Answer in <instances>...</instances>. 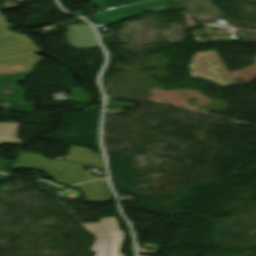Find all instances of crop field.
I'll return each instance as SVG.
<instances>
[{
    "mask_svg": "<svg viewBox=\"0 0 256 256\" xmlns=\"http://www.w3.org/2000/svg\"><path fill=\"white\" fill-rule=\"evenodd\" d=\"M63 159L74 161H51L43 156L21 152L12 167H36L50 173L58 182L72 184L102 177L91 175L94 172L83 170L87 165L103 168L101 155L86 148L71 146L70 153Z\"/></svg>",
    "mask_w": 256,
    "mask_h": 256,
    "instance_id": "8a807250",
    "label": "crop field"
},
{
    "mask_svg": "<svg viewBox=\"0 0 256 256\" xmlns=\"http://www.w3.org/2000/svg\"><path fill=\"white\" fill-rule=\"evenodd\" d=\"M82 227L96 237L91 249L95 256H123L118 250L124 234L118 230L114 217L103 218L99 223H83Z\"/></svg>",
    "mask_w": 256,
    "mask_h": 256,
    "instance_id": "ac0d7876",
    "label": "crop field"
},
{
    "mask_svg": "<svg viewBox=\"0 0 256 256\" xmlns=\"http://www.w3.org/2000/svg\"><path fill=\"white\" fill-rule=\"evenodd\" d=\"M191 74L194 77H203L217 82L220 87L234 84L216 50L196 52L191 59Z\"/></svg>",
    "mask_w": 256,
    "mask_h": 256,
    "instance_id": "34b2d1b8",
    "label": "crop field"
},
{
    "mask_svg": "<svg viewBox=\"0 0 256 256\" xmlns=\"http://www.w3.org/2000/svg\"><path fill=\"white\" fill-rule=\"evenodd\" d=\"M36 51L38 46L33 41L0 49V75L30 73L38 62L26 57Z\"/></svg>",
    "mask_w": 256,
    "mask_h": 256,
    "instance_id": "412701ff",
    "label": "crop field"
},
{
    "mask_svg": "<svg viewBox=\"0 0 256 256\" xmlns=\"http://www.w3.org/2000/svg\"><path fill=\"white\" fill-rule=\"evenodd\" d=\"M29 74L0 76V109L33 112L35 103L24 102L25 91L18 88Z\"/></svg>",
    "mask_w": 256,
    "mask_h": 256,
    "instance_id": "f4fd0767",
    "label": "crop field"
},
{
    "mask_svg": "<svg viewBox=\"0 0 256 256\" xmlns=\"http://www.w3.org/2000/svg\"><path fill=\"white\" fill-rule=\"evenodd\" d=\"M176 7L179 6H177L171 0H153L141 4L125 6L114 10L98 13L95 15L87 16L85 18L90 19L93 23H114L124 17L140 14L144 11L159 12Z\"/></svg>",
    "mask_w": 256,
    "mask_h": 256,
    "instance_id": "dd49c442",
    "label": "crop field"
},
{
    "mask_svg": "<svg viewBox=\"0 0 256 256\" xmlns=\"http://www.w3.org/2000/svg\"><path fill=\"white\" fill-rule=\"evenodd\" d=\"M68 41L75 48L98 47L90 25L67 26ZM100 47V46H99Z\"/></svg>",
    "mask_w": 256,
    "mask_h": 256,
    "instance_id": "e52e79f7",
    "label": "crop field"
},
{
    "mask_svg": "<svg viewBox=\"0 0 256 256\" xmlns=\"http://www.w3.org/2000/svg\"><path fill=\"white\" fill-rule=\"evenodd\" d=\"M83 190L84 197L87 200H94L100 202L110 201V190L106 180L86 183L74 186Z\"/></svg>",
    "mask_w": 256,
    "mask_h": 256,
    "instance_id": "d8731c3e",
    "label": "crop field"
},
{
    "mask_svg": "<svg viewBox=\"0 0 256 256\" xmlns=\"http://www.w3.org/2000/svg\"><path fill=\"white\" fill-rule=\"evenodd\" d=\"M7 21L0 13V48L30 41L27 35H20L7 30L6 28L11 25Z\"/></svg>",
    "mask_w": 256,
    "mask_h": 256,
    "instance_id": "5a996713",
    "label": "crop field"
},
{
    "mask_svg": "<svg viewBox=\"0 0 256 256\" xmlns=\"http://www.w3.org/2000/svg\"><path fill=\"white\" fill-rule=\"evenodd\" d=\"M19 124L20 123L0 122V143H21V141L17 137V130Z\"/></svg>",
    "mask_w": 256,
    "mask_h": 256,
    "instance_id": "3316defc",
    "label": "crop field"
},
{
    "mask_svg": "<svg viewBox=\"0 0 256 256\" xmlns=\"http://www.w3.org/2000/svg\"><path fill=\"white\" fill-rule=\"evenodd\" d=\"M92 1L95 4H97L102 10H107L112 7L137 3L144 0H92Z\"/></svg>",
    "mask_w": 256,
    "mask_h": 256,
    "instance_id": "28ad6ade",
    "label": "crop field"
},
{
    "mask_svg": "<svg viewBox=\"0 0 256 256\" xmlns=\"http://www.w3.org/2000/svg\"><path fill=\"white\" fill-rule=\"evenodd\" d=\"M36 184L40 185L39 190L46 191L48 194H51V195H53L57 190L60 189V188L54 187V186L50 185L49 183L41 181V180L37 181Z\"/></svg>",
    "mask_w": 256,
    "mask_h": 256,
    "instance_id": "d1516ede",
    "label": "crop field"
},
{
    "mask_svg": "<svg viewBox=\"0 0 256 256\" xmlns=\"http://www.w3.org/2000/svg\"><path fill=\"white\" fill-rule=\"evenodd\" d=\"M9 162L10 161L3 160V159L0 158V172H6V173L12 172V170L6 169Z\"/></svg>",
    "mask_w": 256,
    "mask_h": 256,
    "instance_id": "22f410ed",
    "label": "crop field"
},
{
    "mask_svg": "<svg viewBox=\"0 0 256 256\" xmlns=\"http://www.w3.org/2000/svg\"><path fill=\"white\" fill-rule=\"evenodd\" d=\"M9 176L0 174V181L6 180Z\"/></svg>",
    "mask_w": 256,
    "mask_h": 256,
    "instance_id": "cbeb9de0",
    "label": "crop field"
}]
</instances>
